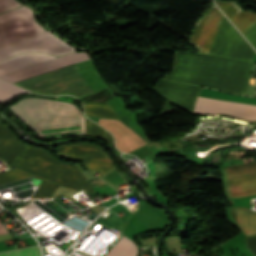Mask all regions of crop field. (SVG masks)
Returning a JSON list of instances; mask_svg holds the SVG:
<instances>
[{"mask_svg":"<svg viewBox=\"0 0 256 256\" xmlns=\"http://www.w3.org/2000/svg\"><path fill=\"white\" fill-rule=\"evenodd\" d=\"M0 123V134L7 131ZM0 159L10 167L35 177L43 178L76 191L84 189L86 194L94 192L82 172L52 158L45 150L20 142L9 130L0 135Z\"/></svg>","mask_w":256,"mask_h":256,"instance_id":"8a807250","label":"crop field"},{"mask_svg":"<svg viewBox=\"0 0 256 256\" xmlns=\"http://www.w3.org/2000/svg\"><path fill=\"white\" fill-rule=\"evenodd\" d=\"M9 107L41 138L85 134V119L71 103L29 98Z\"/></svg>","mask_w":256,"mask_h":256,"instance_id":"ac0d7876","label":"crop field"},{"mask_svg":"<svg viewBox=\"0 0 256 256\" xmlns=\"http://www.w3.org/2000/svg\"><path fill=\"white\" fill-rule=\"evenodd\" d=\"M16 0H0V13L21 6ZM26 6L0 15V23L31 13ZM45 30L34 22L33 14L0 24V47L39 34Z\"/></svg>","mask_w":256,"mask_h":256,"instance_id":"34b2d1b8","label":"crop field"},{"mask_svg":"<svg viewBox=\"0 0 256 256\" xmlns=\"http://www.w3.org/2000/svg\"><path fill=\"white\" fill-rule=\"evenodd\" d=\"M73 51L76 49L47 31L0 48V61L22 52H46L51 55H60Z\"/></svg>","mask_w":256,"mask_h":256,"instance_id":"412701ff","label":"crop field"},{"mask_svg":"<svg viewBox=\"0 0 256 256\" xmlns=\"http://www.w3.org/2000/svg\"><path fill=\"white\" fill-rule=\"evenodd\" d=\"M222 169L228 197L235 198L256 194V162Z\"/></svg>","mask_w":256,"mask_h":256,"instance_id":"f4fd0767","label":"crop field"},{"mask_svg":"<svg viewBox=\"0 0 256 256\" xmlns=\"http://www.w3.org/2000/svg\"><path fill=\"white\" fill-rule=\"evenodd\" d=\"M56 150L69 157L81 160L91 172L99 171L104 174L114 167L104 150L93 144L64 145L56 147Z\"/></svg>","mask_w":256,"mask_h":256,"instance_id":"dd49c442","label":"crop field"},{"mask_svg":"<svg viewBox=\"0 0 256 256\" xmlns=\"http://www.w3.org/2000/svg\"><path fill=\"white\" fill-rule=\"evenodd\" d=\"M222 17L223 15L212 4L207 14L194 26L188 43L196 46L200 53L208 54Z\"/></svg>","mask_w":256,"mask_h":256,"instance_id":"e52e79f7","label":"crop field"},{"mask_svg":"<svg viewBox=\"0 0 256 256\" xmlns=\"http://www.w3.org/2000/svg\"><path fill=\"white\" fill-rule=\"evenodd\" d=\"M85 52H74L64 56H60L27 68H23L5 75L0 76V79L9 81L11 83L23 80L38 74H42L60 67H64L75 62L88 59Z\"/></svg>","mask_w":256,"mask_h":256,"instance_id":"d8731c3e","label":"crop field"},{"mask_svg":"<svg viewBox=\"0 0 256 256\" xmlns=\"http://www.w3.org/2000/svg\"><path fill=\"white\" fill-rule=\"evenodd\" d=\"M195 113H227L237 118L256 120V106L198 97Z\"/></svg>","mask_w":256,"mask_h":256,"instance_id":"5a996713","label":"crop field"},{"mask_svg":"<svg viewBox=\"0 0 256 256\" xmlns=\"http://www.w3.org/2000/svg\"><path fill=\"white\" fill-rule=\"evenodd\" d=\"M98 124L108 129L113 134L116 147L125 153H129L147 144L144 142L145 140L143 141L138 137L139 135L137 136L119 120L99 119Z\"/></svg>","mask_w":256,"mask_h":256,"instance_id":"3316defc","label":"crop field"},{"mask_svg":"<svg viewBox=\"0 0 256 256\" xmlns=\"http://www.w3.org/2000/svg\"><path fill=\"white\" fill-rule=\"evenodd\" d=\"M215 2L242 34L256 22V13L242 10L235 2Z\"/></svg>","mask_w":256,"mask_h":256,"instance_id":"28ad6ade","label":"crop field"},{"mask_svg":"<svg viewBox=\"0 0 256 256\" xmlns=\"http://www.w3.org/2000/svg\"><path fill=\"white\" fill-rule=\"evenodd\" d=\"M54 58L49 54H21L0 62V75Z\"/></svg>","mask_w":256,"mask_h":256,"instance_id":"d1516ede","label":"crop field"},{"mask_svg":"<svg viewBox=\"0 0 256 256\" xmlns=\"http://www.w3.org/2000/svg\"><path fill=\"white\" fill-rule=\"evenodd\" d=\"M229 210L246 237L256 235V211L243 207H230Z\"/></svg>","mask_w":256,"mask_h":256,"instance_id":"22f410ed","label":"crop field"},{"mask_svg":"<svg viewBox=\"0 0 256 256\" xmlns=\"http://www.w3.org/2000/svg\"><path fill=\"white\" fill-rule=\"evenodd\" d=\"M86 116L118 119L109 104L82 103Z\"/></svg>","mask_w":256,"mask_h":256,"instance_id":"cbeb9de0","label":"crop field"},{"mask_svg":"<svg viewBox=\"0 0 256 256\" xmlns=\"http://www.w3.org/2000/svg\"><path fill=\"white\" fill-rule=\"evenodd\" d=\"M136 251L135 244L123 235L105 256H135Z\"/></svg>","mask_w":256,"mask_h":256,"instance_id":"5142ce71","label":"crop field"},{"mask_svg":"<svg viewBox=\"0 0 256 256\" xmlns=\"http://www.w3.org/2000/svg\"><path fill=\"white\" fill-rule=\"evenodd\" d=\"M28 91L19 87L8 84L0 80V103L12 98L13 96L21 93H27Z\"/></svg>","mask_w":256,"mask_h":256,"instance_id":"d9b57169","label":"crop field"},{"mask_svg":"<svg viewBox=\"0 0 256 256\" xmlns=\"http://www.w3.org/2000/svg\"><path fill=\"white\" fill-rule=\"evenodd\" d=\"M57 185H53L42 181L38 189L35 191L31 199L50 197Z\"/></svg>","mask_w":256,"mask_h":256,"instance_id":"733c2abd","label":"crop field"},{"mask_svg":"<svg viewBox=\"0 0 256 256\" xmlns=\"http://www.w3.org/2000/svg\"><path fill=\"white\" fill-rule=\"evenodd\" d=\"M0 256H40L39 247H31L22 250L0 253Z\"/></svg>","mask_w":256,"mask_h":256,"instance_id":"4a817a6b","label":"crop field"},{"mask_svg":"<svg viewBox=\"0 0 256 256\" xmlns=\"http://www.w3.org/2000/svg\"><path fill=\"white\" fill-rule=\"evenodd\" d=\"M26 177H30V176L20 173V172H17V171H14V170L6 172V173H0V185L6 184L9 182H13L16 180H20V179H23Z\"/></svg>","mask_w":256,"mask_h":256,"instance_id":"bc2a9ffb","label":"crop field"},{"mask_svg":"<svg viewBox=\"0 0 256 256\" xmlns=\"http://www.w3.org/2000/svg\"><path fill=\"white\" fill-rule=\"evenodd\" d=\"M86 135H93L105 139V130L94 122L86 119Z\"/></svg>","mask_w":256,"mask_h":256,"instance_id":"214f88e0","label":"crop field"},{"mask_svg":"<svg viewBox=\"0 0 256 256\" xmlns=\"http://www.w3.org/2000/svg\"><path fill=\"white\" fill-rule=\"evenodd\" d=\"M12 239L10 233L0 235V241Z\"/></svg>","mask_w":256,"mask_h":256,"instance_id":"92a150f3","label":"crop field"},{"mask_svg":"<svg viewBox=\"0 0 256 256\" xmlns=\"http://www.w3.org/2000/svg\"><path fill=\"white\" fill-rule=\"evenodd\" d=\"M6 229L3 227V225L0 223V234L1 233H6Z\"/></svg>","mask_w":256,"mask_h":256,"instance_id":"dafd665d","label":"crop field"}]
</instances>
